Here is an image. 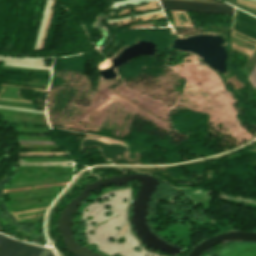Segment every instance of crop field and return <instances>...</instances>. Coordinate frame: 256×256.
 Here are the masks:
<instances>
[{
    "mask_svg": "<svg viewBox=\"0 0 256 256\" xmlns=\"http://www.w3.org/2000/svg\"><path fill=\"white\" fill-rule=\"evenodd\" d=\"M164 9L233 14L232 6L220 3L159 0Z\"/></svg>",
    "mask_w": 256,
    "mask_h": 256,
    "instance_id": "obj_1",
    "label": "crop field"
},
{
    "mask_svg": "<svg viewBox=\"0 0 256 256\" xmlns=\"http://www.w3.org/2000/svg\"><path fill=\"white\" fill-rule=\"evenodd\" d=\"M233 29L256 40V17L236 9Z\"/></svg>",
    "mask_w": 256,
    "mask_h": 256,
    "instance_id": "obj_2",
    "label": "crop field"
},
{
    "mask_svg": "<svg viewBox=\"0 0 256 256\" xmlns=\"http://www.w3.org/2000/svg\"><path fill=\"white\" fill-rule=\"evenodd\" d=\"M23 242L11 240L6 237L0 245V256H13Z\"/></svg>",
    "mask_w": 256,
    "mask_h": 256,
    "instance_id": "obj_3",
    "label": "crop field"
},
{
    "mask_svg": "<svg viewBox=\"0 0 256 256\" xmlns=\"http://www.w3.org/2000/svg\"><path fill=\"white\" fill-rule=\"evenodd\" d=\"M42 250V247L23 243L14 256H38Z\"/></svg>",
    "mask_w": 256,
    "mask_h": 256,
    "instance_id": "obj_4",
    "label": "crop field"
},
{
    "mask_svg": "<svg viewBox=\"0 0 256 256\" xmlns=\"http://www.w3.org/2000/svg\"><path fill=\"white\" fill-rule=\"evenodd\" d=\"M256 65V64H255ZM249 81L251 82V84L254 86V88H255V86H256V66H255V68L253 69V71H252V73L250 74V76H249Z\"/></svg>",
    "mask_w": 256,
    "mask_h": 256,
    "instance_id": "obj_5",
    "label": "crop field"
},
{
    "mask_svg": "<svg viewBox=\"0 0 256 256\" xmlns=\"http://www.w3.org/2000/svg\"><path fill=\"white\" fill-rule=\"evenodd\" d=\"M22 143H42V144H56L54 141H24Z\"/></svg>",
    "mask_w": 256,
    "mask_h": 256,
    "instance_id": "obj_6",
    "label": "crop field"
},
{
    "mask_svg": "<svg viewBox=\"0 0 256 256\" xmlns=\"http://www.w3.org/2000/svg\"><path fill=\"white\" fill-rule=\"evenodd\" d=\"M49 252V249H44V251L41 253L40 256H46V254Z\"/></svg>",
    "mask_w": 256,
    "mask_h": 256,
    "instance_id": "obj_7",
    "label": "crop field"
},
{
    "mask_svg": "<svg viewBox=\"0 0 256 256\" xmlns=\"http://www.w3.org/2000/svg\"><path fill=\"white\" fill-rule=\"evenodd\" d=\"M6 236L2 235L0 236V244L2 243V241L5 239Z\"/></svg>",
    "mask_w": 256,
    "mask_h": 256,
    "instance_id": "obj_8",
    "label": "crop field"
},
{
    "mask_svg": "<svg viewBox=\"0 0 256 256\" xmlns=\"http://www.w3.org/2000/svg\"><path fill=\"white\" fill-rule=\"evenodd\" d=\"M47 256H54V255H53L52 252L50 251V253H49Z\"/></svg>",
    "mask_w": 256,
    "mask_h": 256,
    "instance_id": "obj_9",
    "label": "crop field"
},
{
    "mask_svg": "<svg viewBox=\"0 0 256 256\" xmlns=\"http://www.w3.org/2000/svg\"><path fill=\"white\" fill-rule=\"evenodd\" d=\"M234 1H236V0H234Z\"/></svg>",
    "mask_w": 256,
    "mask_h": 256,
    "instance_id": "obj_10",
    "label": "crop field"
}]
</instances>
